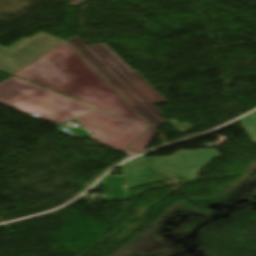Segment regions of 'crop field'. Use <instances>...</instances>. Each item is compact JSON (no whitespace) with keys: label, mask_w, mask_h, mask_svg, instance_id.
<instances>
[{"label":"crop field","mask_w":256,"mask_h":256,"mask_svg":"<svg viewBox=\"0 0 256 256\" xmlns=\"http://www.w3.org/2000/svg\"><path fill=\"white\" fill-rule=\"evenodd\" d=\"M152 130L153 129H149L145 134H143L138 140H136L128 148L135 149L139 152H142L156 133Z\"/></svg>","instance_id":"e52e79f7"},{"label":"crop field","mask_w":256,"mask_h":256,"mask_svg":"<svg viewBox=\"0 0 256 256\" xmlns=\"http://www.w3.org/2000/svg\"><path fill=\"white\" fill-rule=\"evenodd\" d=\"M79 119V124L93 134V139L132 155L137 153L125 147L147 129L98 109L75 120Z\"/></svg>","instance_id":"412701ff"},{"label":"crop field","mask_w":256,"mask_h":256,"mask_svg":"<svg viewBox=\"0 0 256 256\" xmlns=\"http://www.w3.org/2000/svg\"><path fill=\"white\" fill-rule=\"evenodd\" d=\"M120 168L130 188L166 179L143 156L122 165Z\"/></svg>","instance_id":"dd49c442"},{"label":"crop field","mask_w":256,"mask_h":256,"mask_svg":"<svg viewBox=\"0 0 256 256\" xmlns=\"http://www.w3.org/2000/svg\"><path fill=\"white\" fill-rule=\"evenodd\" d=\"M215 149L198 151H178L164 158H149L175 184L197 179V173L215 158Z\"/></svg>","instance_id":"f4fd0767"},{"label":"crop field","mask_w":256,"mask_h":256,"mask_svg":"<svg viewBox=\"0 0 256 256\" xmlns=\"http://www.w3.org/2000/svg\"><path fill=\"white\" fill-rule=\"evenodd\" d=\"M68 40L153 127L165 122L153 104L167 102L111 49L105 44L86 46L77 37Z\"/></svg>","instance_id":"ac0d7876"},{"label":"crop field","mask_w":256,"mask_h":256,"mask_svg":"<svg viewBox=\"0 0 256 256\" xmlns=\"http://www.w3.org/2000/svg\"><path fill=\"white\" fill-rule=\"evenodd\" d=\"M0 103L28 115L37 113L44 120L56 123L93 109L15 77L0 84Z\"/></svg>","instance_id":"34b2d1b8"},{"label":"crop field","mask_w":256,"mask_h":256,"mask_svg":"<svg viewBox=\"0 0 256 256\" xmlns=\"http://www.w3.org/2000/svg\"><path fill=\"white\" fill-rule=\"evenodd\" d=\"M0 70L151 127L67 42L50 35L40 32L7 49L0 46Z\"/></svg>","instance_id":"8a807250"}]
</instances>
